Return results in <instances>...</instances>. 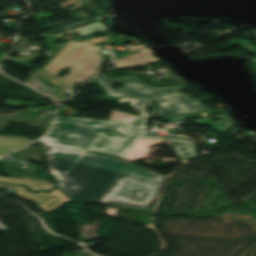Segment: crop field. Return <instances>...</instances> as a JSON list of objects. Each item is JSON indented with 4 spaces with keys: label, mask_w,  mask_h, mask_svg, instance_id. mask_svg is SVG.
<instances>
[{
    "label": "crop field",
    "mask_w": 256,
    "mask_h": 256,
    "mask_svg": "<svg viewBox=\"0 0 256 256\" xmlns=\"http://www.w3.org/2000/svg\"><path fill=\"white\" fill-rule=\"evenodd\" d=\"M146 119L129 122L57 116L46 136L55 140L46 152L55 181L80 201L119 206L138 176L163 182L165 176L111 157L84 153L91 149L124 156L142 137L171 141L181 158L195 156L194 143L147 132Z\"/></svg>",
    "instance_id": "obj_1"
},
{
    "label": "crop field",
    "mask_w": 256,
    "mask_h": 256,
    "mask_svg": "<svg viewBox=\"0 0 256 256\" xmlns=\"http://www.w3.org/2000/svg\"><path fill=\"white\" fill-rule=\"evenodd\" d=\"M67 66H70V73L64 77H57L58 71ZM34 72L57 86L60 90L65 91L68 95L71 94L72 86L76 82L83 83L97 74L95 65L87 72L84 67L57 60H51L43 69Z\"/></svg>",
    "instance_id": "obj_2"
},
{
    "label": "crop field",
    "mask_w": 256,
    "mask_h": 256,
    "mask_svg": "<svg viewBox=\"0 0 256 256\" xmlns=\"http://www.w3.org/2000/svg\"><path fill=\"white\" fill-rule=\"evenodd\" d=\"M96 79L105 88L106 92L110 96L145 97V96H152L160 93L174 92L181 89H185L184 86L154 88L138 82L139 80L137 81L135 75H130L123 79H117V80L107 79L103 76H100ZM113 82H122L125 85L121 89L117 91H113L110 88V84Z\"/></svg>",
    "instance_id": "obj_3"
},
{
    "label": "crop field",
    "mask_w": 256,
    "mask_h": 256,
    "mask_svg": "<svg viewBox=\"0 0 256 256\" xmlns=\"http://www.w3.org/2000/svg\"><path fill=\"white\" fill-rule=\"evenodd\" d=\"M162 183L140 178L136 180L120 206L139 207L149 211L155 201Z\"/></svg>",
    "instance_id": "obj_4"
},
{
    "label": "crop field",
    "mask_w": 256,
    "mask_h": 256,
    "mask_svg": "<svg viewBox=\"0 0 256 256\" xmlns=\"http://www.w3.org/2000/svg\"><path fill=\"white\" fill-rule=\"evenodd\" d=\"M100 47L86 43L68 42L53 59L84 66L88 71L90 67L102 56L95 55Z\"/></svg>",
    "instance_id": "obj_5"
},
{
    "label": "crop field",
    "mask_w": 256,
    "mask_h": 256,
    "mask_svg": "<svg viewBox=\"0 0 256 256\" xmlns=\"http://www.w3.org/2000/svg\"><path fill=\"white\" fill-rule=\"evenodd\" d=\"M187 96L189 95L175 93L156 98L159 105V115L165 117L174 114L188 113L207 109L201 106L197 100L185 99V97Z\"/></svg>",
    "instance_id": "obj_6"
},
{
    "label": "crop field",
    "mask_w": 256,
    "mask_h": 256,
    "mask_svg": "<svg viewBox=\"0 0 256 256\" xmlns=\"http://www.w3.org/2000/svg\"><path fill=\"white\" fill-rule=\"evenodd\" d=\"M70 199L65 193L54 188L51 193L46 192L31 201L35 202V206L49 211Z\"/></svg>",
    "instance_id": "obj_7"
},
{
    "label": "crop field",
    "mask_w": 256,
    "mask_h": 256,
    "mask_svg": "<svg viewBox=\"0 0 256 256\" xmlns=\"http://www.w3.org/2000/svg\"><path fill=\"white\" fill-rule=\"evenodd\" d=\"M152 61H157V59L150 54L147 48H144L141 49L138 54L129 55L127 57L116 60L114 64L117 68H120Z\"/></svg>",
    "instance_id": "obj_8"
},
{
    "label": "crop field",
    "mask_w": 256,
    "mask_h": 256,
    "mask_svg": "<svg viewBox=\"0 0 256 256\" xmlns=\"http://www.w3.org/2000/svg\"><path fill=\"white\" fill-rule=\"evenodd\" d=\"M31 141L23 137L18 138V136H0V155L17 149Z\"/></svg>",
    "instance_id": "obj_9"
},
{
    "label": "crop field",
    "mask_w": 256,
    "mask_h": 256,
    "mask_svg": "<svg viewBox=\"0 0 256 256\" xmlns=\"http://www.w3.org/2000/svg\"><path fill=\"white\" fill-rule=\"evenodd\" d=\"M27 179V178H25ZM19 178L17 177H0V182L4 183H21L25 186H28L31 190L35 191L38 189H45L50 190L53 186L52 184L44 181V180H37V179H28L33 184H28L26 182H18Z\"/></svg>",
    "instance_id": "obj_10"
},
{
    "label": "crop field",
    "mask_w": 256,
    "mask_h": 256,
    "mask_svg": "<svg viewBox=\"0 0 256 256\" xmlns=\"http://www.w3.org/2000/svg\"><path fill=\"white\" fill-rule=\"evenodd\" d=\"M129 100L131 105L134 106L139 115L150 117L146 110V106L152 105V98H121L118 101V104Z\"/></svg>",
    "instance_id": "obj_11"
},
{
    "label": "crop field",
    "mask_w": 256,
    "mask_h": 256,
    "mask_svg": "<svg viewBox=\"0 0 256 256\" xmlns=\"http://www.w3.org/2000/svg\"><path fill=\"white\" fill-rule=\"evenodd\" d=\"M103 29H106L104 24L102 22H98V23L86 25V26H83V27H80V28H76V29H73V30H69V31H66V32H62V33H59V34L54 35V36L65 35V34L73 33L75 31L79 32L81 35H85V34H91V33H94L96 31L103 30Z\"/></svg>",
    "instance_id": "obj_12"
},
{
    "label": "crop field",
    "mask_w": 256,
    "mask_h": 256,
    "mask_svg": "<svg viewBox=\"0 0 256 256\" xmlns=\"http://www.w3.org/2000/svg\"><path fill=\"white\" fill-rule=\"evenodd\" d=\"M0 187L14 189L15 195L22 197V198L29 199V200H31L45 192V191H41L39 193H31V192L26 191L25 188L22 186H9V185L0 184Z\"/></svg>",
    "instance_id": "obj_13"
},
{
    "label": "crop field",
    "mask_w": 256,
    "mask_h": 256,
    "mask_svg": "<svg viewBox=\"0 0 256 256\" xmlns=\"http://www.w3.org/2000/svg\"><path fill=\"white\" fill-rule=\"evenodd\" d=\"M83 4L82 0H77V2H74V0H66L63 2L58 3V5L63 8L64 10L67 9L66 5H75L69 8V11L77 10L80 8V6ZM66 11V12H69Z\"/></svg>",
    "instance_id": "obj_14"
},
{
    "label": "crop field",
    "mask_w": 256,
    "mask_h": 256,
    "mask_svg": "<svg viewBox=\"0 0 256 256\" xmlns=\"http://www.w3.org/2000/svg\"><path fill=\"white\" fill-rule=\"evenodd\" d=\"M125 216L133 218L135 220H141V221L146 222L148 224L150 222V218L148 216H146L144 213L139 212V211H131L128 214H126Z\"/></svg>",
    "instance_id": "obj_15"
},
{
    "label": "crop field",
    "mask_w": 256,
    "mask_h": 256,
    "mask_svg": "<svg viewBox=\"0 0 256 256\" xmlns=\"http://www.w3.org/2000/svg\"><path fill=\"white\" fill-rule=\"evenodd\" d=\"M143 46H146V45L144 44V45L137 46V47H132V46H129V47L131 48V50H132L133 52H135V49L141 48V47H143Z\"/></svg>",
    "instance_id": "obj_16"
},
{
    "label": "crop field",
    "mask_w": 256,
    "mask_h": 256,
    "mask_svg": "<svg viewBox=\"0 0 256 256\" xmlns=\"http://www.w3.org/2000/svg\"><path fill=\"white\" fill-rule=\"evenodd\" d=\"M42 140L45 141V142H47V143H49V144L53 141V140L47 139V138H45V137L42 138Z\"/></svg>",
    "instance_id": "obj_17"
},
{
    "label": "crop field",
    "mask_w": 256,
    "mask_h": 256,
    "mask_svg": "<svg viewBox=\"0 0 256 256\" xmlns=\"http://www.w3.org/2000/svg\"><path fill=\"white\" fill-rule=\"evenodd\" d=\"M0 228L5 229V226L0 223Z\"/></svg>",
    "instance_id": "obj_18"
},
{
    "label": "crop field",
    "mask_w": 256,
    "mask_h": 256,
    "mask_svg": "<svg viewBox=\"0 0 256 256\" xmlns=\"http://www.w3.org/2000/svg\"><path fill=\"white\" fill-rule=\"evenodd\" d=\"M19 181H26V182L30 183L28 180H25V179H20Z\"/></svg>",
    "instance_id": "obj_19"
}]
</instances>
